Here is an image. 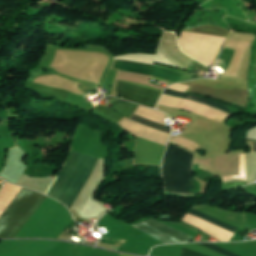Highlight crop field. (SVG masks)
I'll return each instance as SVG.
<instances>
[{
    "label": "crop field",
    "mask_w": 256,
    "mask_h": 256,
    "mask_svg": "<svg viewBox=\"0 0 256 256\" xmlns=\"http://www.w3.org/2000/svg\"><path fill=\"white\" fill-rule=\"evenodd\" d=\"M199 244H201V245H203V246H205V247H207L209 249H212L214 251H217V252H219L221 254H224L226 256H238V255L233 254V253H231L229 251H226V250H224V249H222L220 247H217V246H215V245H213L211 243H199ZM181 256H205V255H202V254H199V253H196V252H193V251H190V250H187V249L183 248Z\"/></svg>",
    "instance_id": "crop-field-8"
},
{
    "label": "crop field",
    "mask_w": 256,
    "mask_h": 256,
    "mask_svg": "<svg viewBox=\"0 0 256 256\" xmlns=\"http://www.w3.org/2000/svg\"><path fill=\"white\" fill-rule=\"evenodd\" d=\"M188 213H190V214H192V215H195V216H197V217H199V218H201V219H204V220H206V221H208V222H211V223H213V224H215V225H217V226H220V227H222V228H224V229H227V230H229V231H231V232H233V233H235V231L237 230V228H235V227H232V226H230V225H228V224H225V223H223V222H220V221H218V220H216V219H213V218H211V217H208V216H206V215H204V214H201V213H199V212H196V211H194V210H192V209H190V210L188 211Z\"/></svg>",
    "instance_id": "crop-field-9"
},
{
    "label": "crop field",
    "mask_w": 256,
    "mask_h": 256,
    "mask_svg": "<svg viewBox=\"0 0 256 256\" xmlns=\"http://www.w3.org/2000/svg\"><path fill=\"white\" fill-rule=\"evenodd\" d=\"M192 157L193 153L169 143L163 163L166 192L192 195Z\"/></svg>",
    "instance_id": "crop-field-2"
},
{
    "label": "crop field",
    "mask_w": 256,
    "mask_h": 256,
    "mask_svg": "<svg viewBox=\"0 0 256 256\" xmlns=\"http://www.w3.org/2000/svg\"><path fill=\"white\" fill-rule=\"evenodd\" d=\"M164 95H168V96H171V97L179 98V99H182V100H186V101H189V102L197 103V104H200V105H204V106H207V107H211V108H214V109H218V110L228 112L227 109L225 107L221 106V105L209 102L207 100H204V99H201V98H198V97L186 95L183 92H178V91H173V90L166 89L165 92H164Z\"/></svg>",
    "instance_id": "crop-field-7"
},
{
    "label": "crop field",
    "mask_w": 256,
    "mask_h": 256,
    "mask_svg": "<svg viewBox=\"0 0 256 256\" xmlns=\"http://www.w3.org/2000/svg\"><path fill=\"white\" fill-rule=\"evenodd\" d=\"M136 226L139 227V230L156 238L164 244L187 242L192 238V236L186 233L153 219L140 222L136 224Z\"/></svg>",
    "instance_id": "crop-field-6"
},
{
    "label": "crop field",
    "mask_w": 256,
    "mask_h": 256,
    "mask_svg": "<svg viewBox=\"0 0 256 256\" xmlns=\"http://www.w3.org/2000/svg\"><path fill=\"white\" fill-rule=\"evenodd\" d=\"M120 256H129V255H124V254H121Z\"/></svg>",
    "instance_id": "crop-field-11"
},
{
    "label": "crop field",
    "mask_w": 256,
    "mask_h": 256,
    "mask_svg": "<svg viewBox=\"0 0 256 256\" xmlns=\"http://www.w3.org/2000/svg\"><path fill=\"white\" fill-rule=\"evenodd\" d=\"M130 120L163 131L168 134L170 133V129H165L164 126L155 123L151 120H148L144 117H141L137 114H133ZM165 147V145L158 144L138 137L135 155L136 163L160 165L162 154L164 152Z\"/></svg>",
    "instance_id": "crop-field-5"
},
{
    "label": "crop field",
    "mask_w": 256,
    "mask_h": 256,
    "mask_svg": "<svg viewBox=\"0 0 256 256\" xmlns=\"http://www.w3.org/2000/svg\"><path fill=\"white\" fill-rule=\"evenodd\" d=\"M254 151H256V142H254Z\"/></svg>",
    "instance_id": "crop-field-10"
},
{
    "label": "crop field",
    "mask_w": 256,
    "mask_h": 256,
    "mask_svg": "<svg viewBox=\"0 0 256 256\" xmlns=\"http://www.w3.org/2000/svg\"><path fill=\"white\" fill-rule=\"evenodd\" d=\"M113 68L148 75H151L154 69L153 66L144 63L121 60H116ZM115 94L121 96L120 98L154 107L161 92L150 87L118 80Z\"/></svg>",
    "instance_id": "crop-field-4"
},
{
    "label": "crop field",
    "mask_w": 256,
    "mask_h": 256,
    "mask_svg": "<svg viewBox=\"0 0 256 256\" xmlns=\"http://www.w3.org/2000/svg\"><path fill=\"white\" fill-rule=\"evenodd\" d=\"M96 160L92 156L71 150L63 170L47 195L59 200L70 209L92 173Z\"/></svg>",
    "instance_id": "crop-field-1"
},
{
    "label": "crop field",
    "mask_w": 256,
    "mask_h": 256,
    "mask_svg": "<svg viewBox=\"0 0 256 256\" xmlns=\"http://www.w3.org/2000/svg\"><path fill=\"white\" fill-rule=\"evenodd\" d=\"M45 198L37 192L22 188L0 216V238H14Z\"/></svg>",
    "instance_id": "crop-field-3"
}]
</instances>
